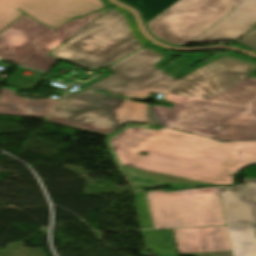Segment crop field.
Here are the masks:
<instances>
[{
	"mask_svg": "<svg viewBox=\"0 0 256 256\" xmlns=\"http://www.w3.org/2000/svg\"><path fill=\"white\" fill-rule=\"evenodd\" d=\"M106 143L133 190L231 182L236 170L256 163V141L221 143L151 125L128 123Z\"/></svg>",
	"mask_w": 256,
	"mask_h": 256,
	"instance_id": "8a807250",
	"label": "crop field"
},
{
	"mask_svg": "<svg viewBox=\"0 0 256 256\" xmlns=\"http://www.w3.org/2000/svg\"><path fill=\"white\" fill-rule=\"evenodd\" d=\"M256 65L219 58L161 92L174 108L153 105L161 126L218 141L256 140Z\"/></svg>",
	"mask_w": 256,
	"mask_h": 256,
	"instance_id": "ac0d7876",
	"label": "crop field"
},
{
	"mask_svg": "<svg viewBox=\"0 0 256 256\" xmlns=\"http://www.w3.org/2000/svg\"><path fill=\"white\" fill-rule=\"evenodd\" d=\"M148 43L151 42L139 34L131 13L115 6L49 55L98 69L113 64Z\"/></svg>",
	"mask_w": 256,
	"mask_h": 256,
	"instance_id": "34b2d1b8",
	"label": "crop field"
},
{
	"mask_svg": "<svg viewBox=\"0 0 256 256\" xmlns=\"http://www.w3.org/2000/svg\"><path fill=\"white\" fill-rule=\"evenodd\" d=\"M152 105L86 90L66 94L47 121L111 134L128 122L159 125L150 113Z\"/></svg>",
	"mask_w": 256,
	"mask_h": 256,
	"instance_id": "412701ff",
	"label": "crop field"
},
{
	"mask_svg": "<svg viewBox=\"0 0 256 256\" xmlns=\"http://www.w3.org/2000/svg\"><path fill=\"white\" fill-rule=\"evenodd\" d=\"M169 57L167 51L147 45L111 65L109 68L114 73L88 88L137 100L146 99L151 92L159 93L178 79L177 73L189 62L200 58L182 54L170 69L160 66Z\"/></svg>",
	"mask_w": 256,
	"mask_h": 256,
	"instance_id": "f4fd0767",
	"label": "crop field"
},
{
	"mask_svg": "<svg viewBox=\"0 0 256 256\" xmlns=\"http://www.w3.org/2000/svg\"><path fill=\"white\" fill-rule=\"evenodd\" d=\"M154 228L226 224L215 187L147 193Z\"/></svg>",
	"mask_w": 256,
	"mask_h": 256,
	"instance_id": "dd49c442",
	"label": "crop field"
},
{
	"mask_svg": "<svg viewBox=\"0 0 256 256\" xmlns=\"http://www.w3.org/2000/svg\"><path fill=\"white\" fill-rule=\"evenodd\" d=\"M243 0H179L147 23L160 41L185 46L204 33Z\"/></svg>",
	"mask_w": 256,
	"mask_h": 256,
	"instance_id": "e52e79f7",
	"label": "crop field"
},
{
	"mask_svg": "<svg viewBox=\"0 0 256 256\" xmlns=\"http://www.w3.org/2000/svg\"><path fill=\"white\" fill-rule=\"evenodd\" d=\"M110 8L112 7L110 6L101 12L97 11L81 18H74L51 30L11 62L49 72L58 59L47 54Z\"/></svg>",
	"mask_w": 256,
	"mask_h": 256,
	"instance_id": "d8731c3e",
	"label": "crop field"
},
{
	"mask_svg": "<svg viewBox=\"0 0 256 256\" xmlns=\"http://www.w3.org/2000/svg\"><path fill=\"white\" fill-rule=\"evenodd\" d=\"M109 0H31L21 9L36 21L56 27L74 17H81L108 6Z\"/></svg>",
	"mask_w": 256,
	"mask_h": 256,
	"instance_id": "5a996713",
	"label": "crop field"
},
{
	"mask_svg": "<svg viewBox=\"0 0 256 256\" xmlns=\"http://www.w3.org/2000/svg\"><path fill=\"white\" fill-rule=\"evenodd\" d=\"M173 231L179 255L232 256L226 226Z\"/></svg>",
	"mask_w": 256,
	"mask_h": 256,
	"instance_id": "3316defc",
	"label": "crop field"
},
{
	"mask_svg": "<svg viewBox=\"0 0 256 256\" xmlns=\"http://www.w3.org/2000/svg\"><path fill=\"white\" fill-rule=\"evenodd\" d=\"M51 29L23 15L0 33V57L12 60Z\"/></svg>",
	"mask_w": 256,
	"mask_h": 256,
	"instance_id": "28ad6ade",
	"label": "crop field"
},
{
	"mask_svg": "<svg viewBox=\"0 0 256 256\" xmlns=\"http://www.w3.org/2000/svg\"><path fill=\"white\" fill-rule=\"evenodd\" d=\"M256 22V0H245L234 11L195 39L194 43L236 39Z\"/></svg>",
	"mask_w": 256,
	"mask_h": 256,
	"instance_id": "d1516ede",
	"label": "crop field"
},
{
	"mask_svg": "<svg viewBox=\"0 0 256 256\" xmlns=\"http://www.w3.org/2000/svg\"><path fill=\"white\" fill-rule=\"evenodd\" d=\"M15 91L3 88L0 94V114L26 117L46 118L58 99L50 98L43 100L25 99L15 97Z\"/></svg>",
	"mask_w": 256,
	"mask_h": 256,
	"instance_id": "22f410ed",
	"label": "crop field"
},
{
	"mask_svg": "<svg viewBox=\"0 0 256 256\" xmlns=\"http://www.w3.org/2000/svg\"><path fill=\"white\" fill-rule=\"evenodd\" d=\"M218 189L227 224L253 222L244 185Z\"/></svg>",
	"mask_w": 256,
	"mask_h": 256,
	"instance_id": "cbeb9de0",
	"label": "crop field"
},
{
	"mask_svg": "<svg viewBox=\"0 0 256 256\" xmlns=\"http://www.w3.org/2000/svg\"><path fill=\"white\" fill-rule=\"evenodd\" d=\"M234 256H256V235L253 224L227 226Z\"/></svg>",
	"mask_w": 256,
	"mask_h": 256,
	"instance_id": "5142ce71",
	"label": "crop field"
},
{
	"mask_svg": "<svg viewBox=\"0 0 256 256\" xmlns=\"http://www.w3.org/2000/svg\"><path fill=\"white\" fill-rule=\"evenodd\" d=\"M142 232L146 247L153 250L154 256H176L170 230Z\"/></svg>",
	"mask_w": 256,
	"mask_h": 256,
	"instance_id": "d9b57169",
	"label": "crop field"
},
{
	"mask_svg": "<svg viewBox=\"0 0 256 256\" xmlns=\"http://www.w3.org/2000/svg\"><path fill=\"white\" fill-rule=\"evenodd\" d=\"M140 10L145 23L177 0H121Z\"/></svg>",
	"mask_w": 256,
	"mask_h": 256,
	"instance_id": "733c2abd",
	"label": "crop field"
},
{
	"mask_svg": "<svg viewBox=\"0 0 256 256\" xmlns=\"http://www.w3.org/2000/svg\"><path fill=\"white\" fill-rule=\"evenodd\" d=\"M30 0H0V32L21 17L18 9Z\"/></svg>",
	"mask_w": 256,
	"mask_h": 256,
	"instance_id": "4a817a6b",
	"label": "crop field"
},
{
	"mask_svg": "<svg viewBox=\"0 0 256 256\" xmlns=\"http://www.w3.org/2000/svg\"><path fill=\"white\" fill-rule=\"evenodd\" d=\"M142 229L153 228L147 203L146 191L135 193Z\"/></svg>",
	"mask_w": 256,
	"mask_h": 256,
	"instance_id": "bc2a9ffb",
	"label": "crop field"
},
{
	"mask_svg": "<svg viewBox=\"0 0 256 256\" xmlns=\"http://www.w3.org/2000/svg\"><path fill=\"white\" fill-rule=\"evenodd\" d=\"M245 186L252 210L253 220L256 223V178H245Z\"/></svg>",
	"mask_w": 256,
	"mask_h": 256,
	"instance_id": "214f88e0",
	"label": "crop field"
},
{
	"mask_svg": "<svg viewBox=\"0 0 256 256\" xmlns=\"http://www.w3.org/2000/svg\"><path fill=\"white\" fill-rule=\"evenodd\" d=\"M4 84L8 86L28 90V89L35 88L38 82L10 76Z\"/></svg>",
	"mask_w": 256,
	"mask_h": 256,
	"instance_id": "92a150f3",
	"label": "crop field"
},
{
	"mask_svg": "<svg viewBox=\"0 0 256 256\" xmlns=\"http://www.w3.org/2000/svg\"><path fill=\"white\" fill-rule=\"evenodd\" d=\"M237 43L245 44L256 50V25L255 28L248 32L246 35L236 41Z\"/></svg>",
	"mask_w": 256,
	"mask_h": 256,
	"instance_id": "dafd665d",
	"label": "crop field"
},
{
	"mask_svg": "<svg viewBox=\"0 0 256 256\" xmlns=\"http://www.w3.org/2000/svg\"><path fill=\"white\" fill-rule=\"evenodd\" d=\"M221 56H232V57H236V58H239V59H242V60H246V61H249V62H253V63H255V64H256V61L249 60V59H246V58H242V57H239V56H235V55H231V54H228V55H222V54H219V55L215 56L214 58H212L211 60H209V61H207V62H204V63H202V64H200V65H198V66L194 67V68H193V69H191L190 71H188V72L184 73L181 77H183V76H185V75L189 74L190 72H192V71L196 70L197 68H199V67H201V66L205 65L206 63H208V62H210V61H212V60H214V59H216V58H218V57H221ZM252 76H255V77H256V70H255V71H253L252 73H250V77H252ZM181 77H180V78H181Z\"/></svg>",
	"mask_w": 256,
	"mask_h": 256,
	"instance_id": "00972430",
	"label": "crop field"
},
{
	"mask_svg": "<svg viewBox=\"0 0 256 256\" xmlns=\"http://www.w3.org/2000/svg\"><path fill=\"white\" fill-rule=\"evenodd\" d=\"M253 165H256V164H253ZM238 171H236L235 172V174L237 173ZM234 174V175H235ZM234 175H233V177H234ZM233 177H232V183H226V184H222V185H232L233 184ZM155 188V187H154ZM148 189H152V188H148ZM142 190H146V189H142ZM173 190H176V189H173ZM137 191H141V190H136V191H134V192H137Z\"/></svg>",
	"mask_w": 256,
	"mask_h": 256,
	"instance_id": "a9b5d70f",
	"label": "crop field"
}]
</instances>
